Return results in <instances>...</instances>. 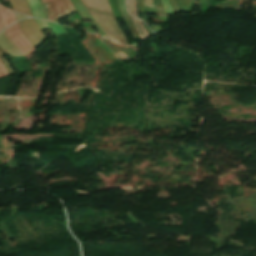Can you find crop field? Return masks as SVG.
Here are the masks:
<instances>
[{"label": "crop field", "instance_id": "4", "mask_svg": "<svg viewBox=\"0 0 256 256\" xmlns=\"http://www.w3.org/2000/svg\"><path fill=\"white\" fill-rule=\"evenodd\" d=\"M18 24L35 49L47 39L38 29L33 19L22 20Z\"/></svg>", "mask_w": 256, "mask_h": 256}, {"label": "crop field", "instance_id": "7", "mask_svg": "<svg viewBox=\"0 0 256 256\" xmlns=\"http://www.w3.org/2000/svg\"><path fill=\"white\" fill-rule=\"evenodd\" d=\"M29 2V5H30V8H31V11L33 13V16L36 17V18H43V15L41 13V9L38 5V3L36 2V0H28Z\"/></svg>", "mask_w": 256, "mask_h": 256}, {"label": "crop field", "instance_id": "5", "mask_svg": "<svg viewBox=\"0 0 256 256\" xmlns=\"http://www.w3.org/2000/svg\"><path fill=\"white\" fill-rule=\"evenodd\" d=\"M9 2L15 11L31 16V12L26 0H9Z\"/></svg>", "mask_w": 256, "mask_h": 256}, {"label": "crop field", "instance_id": "9", "mask_svg": "<svg viewBox=\"0 0 256 256\" xmlns=\"http://www.w3.org/2000/svg\"><path fill=\"white\" fill-rule=\"evenodd\" d=\"M8 72L6 70V68L3 66V64L0 61V78L4 77V76H8Z\"/></svg>", "mask_w": 256, "mask_h": 256}, {"label": "crop field", "instance_id": "13", "mask_svg": "<svg viewBox=\"0 0 256 256\" xmlns=\"http://www.w3.org/2000/svg\"><path fill=\"white\" fill-rule=\"evenodd\" d=\"M154 32L162 31L160 25H150Z\"/></svg>", "mask_w": 256, "mask_h": 256}, {"label": "crop field", "instance_id": "14", "mask_svg": "<svg viewBox=\"0 0 256 256\" xmlns=\"http://www.w3.org/2000/svg\"><path fill=\"white\" fill-rule=\"evenodd\" d=\"M3 29L1 19H0V31Z\"/></svg>", "mask_w": 256, "mask_h": 256}, {"label": "crop field", "instance_id": "12", "mask_svg": "<svg viewBox=\"0 0 256 256\" xmlns=\"http://www.w3.org/2000/svg\"><path fill=\"white\" fill-rule=\"evenodd\" d=\"M0 60L2 61V63L5 65V67L7 68L9 74H13V72L11 71V69L9 68V66L7 65V63L5 62V60L3 59V57L0 55Z\"/></svg>", "mask_w": 256, "mask_h": 256}, {"label": "crop field", "instance_id": "10", "mask_svg": "<svg viewBox=\"0 0 256 256\" xmlns=\"http://www.w3.org/2000/svg\"><path fill=\"white\" fill-rule=\"evenodd\" d=\"M35 20H36V22H37V24H38V26H39L40 29L48 28V26H47V24H46L45 21H43V20H37V19H35Z\"/></svg>", "mask_w": 256, "mask_h": 256}, {"label": "crop field", "instance_id": "2", "mask_svg": "<svg viewBox=\"0 0 256 256\" xmlns=\"http://www.w3.org/2000/svg\"><path fill=\"white\" fill-rule=\"evenodd\" d=\"M49 18L52 22L58 24L57 19L75 12L68 0H42Z\"/></svg>", "mask_w": 256, "mask_h": 256}, {"label": "crop field", "instance_id": "11", "mask_svg": "<svg viewBox=\"0 0 256 256\" xmlns=\"http://www.w3.org/2000/svg\"><path fill=\"white\" fill-rule=\"evenodd\" d=\"M146 7L154 8L152 0H143ZM155 9V8H154Z\"/></svg>", "mask_w": 256, "mask_h": 256}, {"label": "crop field", "instance_id": "6", "mask_svg": "<svg viewBox=\"0 0 256 256\" xmlns=\"http://www.w3.org/2000/svg\"><path fill=\"white\" fill-rule=\"evenodd\" d=\"M0 12L4 28L16 22L14 13L12 11L0 6Z\"/></svg>", "mask_w": 256, "mask_h": 256}, {"label": "crop field", "instance_id": "1", "mask_svg": "<svg viewBox=\"0 0 256 256\" xmlns=\"http://www.w3.org/2000/svg\"><path fill=\"white\" fill-rule=\"evenodd\" d=\"M107 38L129 45L108 4V0H80Z\"/></svg>", "mask_w": 256, "mask_h": 256}, {"label": "crop field", "instance_id": "8", "mask_svg": "<svg viewBox=\"0 0 256 256\" xmlns=\"http://www.w3.org/2000/svg\"><path fill=\"white\" fill-rule=\"evenodd\" d=\"M167 14L174 13L168 0H161Z\"/></svg>", "mask_w": 256, "mask_h": 256}, {"label": "crop field", "instance_id": "3", "mask_svg": "<svg viewBox=\"0 0 256 256\" xmlns=\"http://www.w3.org/2000/svg\"><path fill=\"white\" fill-rule=\"evenodd\" d=\"M6 35L16 44V46L21 50L24 57L35 53V49L28 42V40L22 34L18 24H14L6 29H4Z\"/></svg>", "mask_w": 256, "mask_h": 256}]
</instances>
